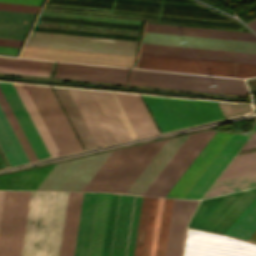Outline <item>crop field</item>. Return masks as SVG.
I'll return each instance as SVG.
<instances>
[{"instance_id": "1", "label": "crop field", "mask_w": 256, "mask_h": 256, "mask_svg": "<svg viewBox=\"0 0 256 256\" xmlns=\"http://www.w3.org/2000/svg\"><path fill=\"white\" fill-rule=\"evenodd\" d=\"M168 2H177V3H186V4H195L199 5L191 0H163ZM47 2L53 3H64V4H74V5H85V6H96V7H106L118 9V10H127V11H136V12H145V13H154V14H178V15H189V16H200V17H210V18H220V19H229V18L217 11H210L208 8L200 5V6H193V5H181V4H169L163 3L158 1H149V0H47ZM46 2V4H47ZM46 4L44 8L46 7ZM44 10V9H43ZM84 10V9H83ZM114 10L113 12L118 13H129V14H139V15H150V16H161V17H172V18H182V19H193V20H204V21H214V22H224V23H239L238 21H217V20H207V19H197V18H187V17H177V16H167V15H154V14H145V13H136V12H127V11H118ZM51 11V10H48ZM94 11V10H93ZM64 12V11H58ZM105 12V11H103ZM68 13H77V12H68ZM116 13V14H118ZM78 14H87V15H97V14H88V13H78ZM126 14V15H129ZM136 15V16H139ZM97 16H106V15H97ZM112 16V15H111ZM107 16V17H111ZM150 16H141V17H150ZM117 18H127V19H137V20H148V19H138V18H128V17H118ZM161 17H150V18H159L162 20H172V21H182V22H191V23H201V24H211V25H220V26H230V27H240L239 25L233 24H223V23H213V22H203V21H193V20H182V19H172V18H161ZM38 20L44 21H54V22H64V23H74V24H84V25H94V26H104V27H114V28H124V29H134V30H141L140 26L134 25H123V24H112V23H101V22H90V21H79V20H68V19H57V18H46V17H39ZM149 21H159V20H149ZM144 21V22H149ZM159 22H169V21H159ZM159 22H152V23H159ZM170 23H179V22H170ZM170 23H162V24H170ZM180 24H189V23H180ZM180 24H172V25H180ZM242 25L241 23H239ZM191 25H199V24H191ZM191 25H183V26H191ZM202 26H210V25H202ZM202 26H193V27H202ZM220 26H212V27H220ZM243 26V25H242ZM212 27H204V28H212ZM230 27H223V28H230ZM244 27V26H243ZM223 28H214V29H223ZM238 29V28H233ZM233 29H224V30H233ZM33 31L38 32H48V33H58V34H69V35H80V36H90V37H101V38H112V39H122V40H133L138 41V37L132 36H122V35H112V34H102V33H92V32H81V31H71V30H61V29H51V28H41V27H34ZM239 31V30H235ZM242 31L250 32L248 29H242Z\"/></svg>"}, {"instance_id": "2", "label": "crop field", "mask_w": 256, "mask_h": 256, "mask_svg": "<svg viewBox=\"0 0 256 256\" xmlns=\"http://www.w3.org/2000/svg\"><path fill=\"white\" fill-rule=\"evenodd\" d=\"M68 90L97 147L137 138L115 93Z\"/></svg>"}, {"instance_id": "3", "label": "crop field", "mask_w": 256, "mask_h": 256, "mask_svg": "<svg viewBox=\"0 0 256 256\" xmlns=\"http://www.w3.org/2000/svg\"><path fill=\"white\" fill-rule=\"evenodd\" d=\"M164 142L113 151L83 190L125 193Z\"/></svg>"}, {"instance_id": "4", "label": "crop field", "mask_w": 256, "mask_h": 256, "mask_svg": "<svg viewBox=\"0 0 256 256\" xmlns=\"http://www.w3.org/2000/svg\"><path fill=\"white\" fill-rule=\"evenodd\" d=\"M143 98L160 132L223 118L213 101Z\"/></svg>"}, {"instance_id": "5", "label": "crop field", "mask_w": 256, "mask_h": 256, "mask_svg": "<svg viewBox=\"0 0 256 256\" xmlns=\"http://www.w3.org/2000/svg\"><path fill=\"white\" fill-rule=\"evenodd\" d=\"M128 84L196 90L225 94H248L243 80L131 69ZM216 87H213L214 85Z\"/></svg>"}, {"instance_id": "6", "label": "crop field", "mask_w": 256, "mask_h": 256, "mask_svg": "<svg viewBox=\"0 0 256 256\" xmlns=\"http://www.w3.org/2000/svg\"><path fill=\"white\" fill-rule=\"evenodd\" d=\"M255 197L256 188H252L204 199L188 227L223 233Z\"/></svg>"}, {"instance_id": "7", "label": "crop field", "mask_w": 256, "mask_h": 256, "mask_svg": "<svg viewBox=\"0 0 256 256\" xmlns=\"http://www.w3.org/2000/svg\"><path fill=\"white\" fill-rule=\"evenodd\" d=\"M137 68L247 78L256 65L140 54Z\"/></svg>"}, {"instance_id": "8", "label": "crop field", "mask_w": 256, "mask_h": 256, "mask_svg": "<svg viewBox=\"0 0 256 256\" xmlns=\"http://www.w3.org/2000/svg\"><path fill=\"white\" fill-rule=\"evenodd\" d=\"M97 193L84 192L74 256H87ZM111 193H98L89 256H101Z\"/></svg>"}, {"instance_id": "9", "label": "crop field", "mask_w": 256, "mask_h": 256, "mask_svg": "<svg viewBox=\"0 0 256 256\" xmlns=\"http://www.w3.org/2000/svg\"><path fill=\"white\" fill-rule=\"evenodd\" d=\"M30 192L6 191L0 223V256H20Z\"/></svg>"}, {"instance_id": "10", "label": "crop field", "mask_w": 256, "mask_h": 256, "mask_svg": "<svg viewBox=\"0 0 256 256\" xmlns=\"http://www.w3.org/2000/svg\"><path fill=\"white\" fill-rule=\"evenodd\" d=\"M214 133L189 135L143 195L165 197Z\"/></svg>"}, {"instance_id": "11", "label": "crop field", "mask_w": 256, "mask_h": 256, "mask_svg": "<svg viewBox=\"0 0 256 256\" xmlns=\"http://www.w3.org/2000/svg\"><path fill=\"white\" fill-rule=\"evenodd\" d=\"M111 152L56 164L37 190H82Z\"/></svg>"}, {"instance_id": "12", "label": "crop field", "mask_w": 256, "mask_h": 256, "mask_svg": "<svg viewBox=\"0 0 256 256\" xmlns=\"http://www.w3.org/2000/svg\"><path fill=\"white\" fill-rule=\"evenodd\" d=\"M183 256H256V244L187 229Z\"/></svg>"}, {"instance_id": "13", "label": "crop field", "mask_w": 256, "mask_h": 256, "mask_svg": "<svg viewBox=\"0 0 256 256\" xmlns=\"http://www.w3.org/2000/svg\"><path fill=\"white\" fill-rule=\"evenodd\" d=\"M136 42L33 32L27 45L133 55Z\"/></svg>"}, {"instance_id": "14", "label": "crop field", "mask_w": 256, "mask_h": 256, "mask_svg": "<svg viewBox=\"0 0 256 256\" xmlns=\"http://www.w3.org/2000/svg\"><path fill=\"white\" fill-rule=\"evenodd\" d=\"M20 57L133 67L135 56L25 46Z\"/></svg>"}, {"instance_id": "15", "label": "crop field", "mask_w": 256, "mask_h": 256, "mask_svg": "<svg viewBox=\"0 0 256 256\" xmlns=\"http://www.w3.org/2000/svg\"><path fill=\"white\" fill-rule=\"evenodd\" d=\"M172 202L152 198L143 256H164Z\"/></svg>"}, {"instance_id": "16", "label": "crop field", "mask_w": 256, "mask_h": 256, "mask_svg": "<svg viewBox=\"0 0 256 256\" xmlns=\"http://www.w3.org/2000/svg\"><path fill=\"white\" fill-rule=\"evenodd\" d=\"M142 42L256 53V42L246 41L145 32Z\"/></svg>"}, {"instance_id": "17", "label": "crop field", "mask_w": 256, "mask_h": 256, "mask_svg": "<svg viewBox=\"0 0 256 256\" xmlns=\"http://www.w3.org/2000/svg\"><path fill=\"white\" fill-rule=\"evenodd\" d=\"M140 53L255 63L256 54L142 43Z\"/></svg>"}, {"instance_id": "18", "label": "crop field", "mask_w": 256, "mask_h": 256, "mask_svg": "<svg viewBox=\"0 0 256 256\" xmlns=\"http://www.w3.org/2000/svg\"><path fill=\"white\" fill-rule=\"evenodd\" d=\"M231 135L216 133L166 197L183 198Z\"/></svg>"}, {"instance_id": "19", "label": "crop field", "mask_w": 256, "mask_h": 256, "mask_svg": "<svg viewBox=\"0 0 256 256\" xmlns=\"http://www.w3.org/2000/svg\"><path fill=\"white\" fill-rule=\"evenodd\" d=\"M0 90L5 97L12 113L14 114L20 128L22 129L29 145L31 146L37 160L49 157V154L26 109L24 108L13 84L0 82Z\"/></svg>"}, {"instance_id": "20", "label": "crop field", "mask_w": 256, "mask_h": 256, "mask_svg": "<svg viewBox=\"0 0 256 256\" xmlns=\"http://www.w3.org/2000/svg\"><path fill=\"white\" fill-rule=\"evenodd\" d=\"M248 137L233 134L184 198L200 199Z\"/></svg>"}, {"instance_id": "21", "label": "crop field", "mask_w": 256, "mask_h": 256, "mask_svg": "<svg viewBox=\"0 0 256 256\" xmlns=\"http://www.w3.org/2000/svg\"><path fill=\"white\" fill-rule=\"evenodd\" d=\"M128 69L59 62L56 76L125 84Z\"/></svg>"}, {"instance_id": "22", "label": "crop field", "mask_w": 256, "mask_h": 256, "mask_svg": "<svg viewBox=\"0 0 256 256\" xmlns=\"http://www.w3.org/2000/svg\"><path fill=\"white\" fill-rule=\"evenodd\" d=\"M187 136L167 139L126 193L142 195Z\"/></svg>"}, {"instance_id": "23", "label": "crop field", "mask_w": 256, "mask_h": 256, "mask_svg": "<svg viewBox=\"0 0 256 256\" xmlns=\"http://www.w3.org/2000/svg\"><path fill=\"white\" fill-rule=\"evenodd\" d=\"M197 202L174 199L165 256H181L185 226Z\"/></svg>"}, {"instance_id": "24", "label": "crop field", "mask_w": 256, "mask_h": 256, "mask_svg": "<svg viewBox=\"0 0 256 256\" xmlns=\"http://www.w3.org/2000/svg\"><path fill=\"white\" fill-rule=\"evenodd\" d=\"M138 138L158 134V131L144 107L139 95L116 93Z\"/></svg>"}, {"instance_id": "25", "label": "crop field", "mask_w": 256, "mask_h": 256, "mask_svg": "<svg viewBox=\"0 0 256 256\" xmlns=\"http://www.w3.org/2000/svg\"><path fill=\"white\" fill-rule=\"evenodd\" d=\"M127 195L112 194L103 256H117Z\"/></svg>"}, {"instance_id": "26", "label": "crop field", "mask_w": 256, "mask_h": 256, "mask_svg": "<svg viewBox=\"0 0 256 256\" xmlns=\"http://www.w3.org/2000/svg\"><path fill=\"white\" fill-rule=\"evenodd\" d=\"M82 195L69 192L59 256H73Z\"/></svg>"}, {"instance_id": "27", "label": "crop field", "mask_w": 256, "mask_h": 256, "mask_svg": "<svg viewBox=\"0 0 256 256\" xmlns=\"http://www.w3.org/2000/svg\"><path fill=\"white\" fill-rule=\"evenodd\" d=\"M141 200L128 195L118 256H133Z\"/></svg>"}, {"instance_id": "28", "label": "crop field", "mask_w": 256, "mask_h": 256, "mask_svg": "<svg viewBox=\"0 0 256 256\" xmlns=\"http://www.w3.org/2000/svg\"><path fill=\"white\" fill-rule=\"evenodd\" d=\"M145 31L256 41V36H254L252 33L170 26V25H160V24H149V23H147Z\"/></svg>"}, {"instance_id": "29", "label": "crop field", "mask_w": 256, "mask_h": 256, "mask_svg": "<svg viewBox=\"0 0 256 256\" xmlns=\"http://www.w3.org/2000/svg\"><path fill=\"white\" fill-rule=\"evenodd\" d=\"M25 108L27 109L37 131L39 132L50 156L53 155H59L60 152L53 140V138L51 137L44 121L42 120L34 102L32 101L25 85H18V84H14Z\"/></svg>"}, {"instance_id": "30", "label": "crop field", "mask_w": 256, "mask_h": 256, "mask_svg": "<svg viewBox=\"0 0 256 256\" xmlns=\"http://www.w3.org/2000/svg\"><path fill=\"white\" fill-rule=\"evenodd\" d=\"M0 146L10 166L28 162L1 108H0Z\"/></svg>"}, {"instance_id": "31", "label": "crop field", "mask_w": 256, "mask_h": 256, "mask_svg": "<svg viewBox=\"0 0 256 256\" xmlns=\"http://www.w3.org/2000/svg\"><path fill=\"white\" fill-rule=\"evenodd\" d=\"M52 62L22 58L1 57L0 65L50 70ZM0 66V72L48 77L50 71Z\"/></svg>"}, {"instance_id": "32", "label": "crop field", "mask_w": 256, "mask_h": 256, "mask_svg": "<svg viewBox=\"0 0 256 256\" xmlns=\"http://www.w3.org/2000/svg\"><path fill=\"white\" fill-rule=\"evenodd\" d=\"M48 173H37L29 170L0 176V189L36 190Z\"/></svg>"}, {"instance_id": "33", "label": "crop field", "mask_w": 256, "mask_h": 256, "mask_svg": "<svg viewBox=\"0 0 256 256\" xmlns=\"http://www.w3.org/2000/svg\"><path fill=\"white\" fill-rule=\"evenodd\" d=\"M256 230V198L224 232L247 240Z\"/></svg>"}, {"instance_id": "34", "label": "crop field", "mask_w": 256, "mask_h": 256, "mask_svg": "<svg viewBox=\"0 0 256 256\" xmlns=\"http://www.w3.org/2000/svg\"><path fill=\"white\" fill-rule=\"evenodd\" d=\"M256 186V173L215 182L205 197L241 190ZM204 197V198H205Z\"/></svg>"}, {"instance_id": "35", "label": "crop field", "mask_w": 256, "mask_h": 256, "mask_svg": "<svg viewBox=\"0 0 256 256\" xmlns=\"http://www.w3.org/2000/svg\"><path fill=\"white\" fill-rule=\"evenodd\" d=\"M256 172V152L236 156L218 180Z\"/></svg>"}, {"instance_id": "36", "label": "crop field", "mask_w": 256, "mask_h": 256, "mask_svg": "<svg viewBox=\"0 0 256 256\" xmlns=\"http://www.w3.org/2000/svg\"><path fill=\"white\" fill-rule=\"evenodd\" d=\"M33 101L35 102L42 118L44 119L52 137L54 138L61 154H64V153H68L69 150L64 142V140L62 139L57 127L55 126L49 112L47 111L42 99L40 98L35 86H29V85H26Z\"/></svg>"}, {"instance_id": "37", "label": "crop field", "mask_w": 256, "mask_h": 256, "mask_svg": "<svg viewBox=\"0 0 256 256\" xmlns=\"http://www.w3.org/2000/svg\"><path fill=\"white\" fill-rule=\"evenodd\" d=\"M0 106H1L5 116L7 118V120L9 121V123H10L18 141L20 142V144H21L29 162L36 161V158H35L32 150H31L30 146L28 145L21 129L19 128V126H18L13 114L11 113V111H10L4 97L2 96L1 92H0Z\"/></svg>"}, {"instance_id": "38", "label": "crop field", "mask_w": 256, "mask_h": 256, "mask_svg": "<svg viewBox=\"0 0 256 256\" xmlns=\"http://www.w3.org/2000/svg\"><path fill=\"white\" fill-rule=\"evenodd\" d=\"M151 198L143 197L134 256H142Z\"/></svg>"}, {"instance_id": "39", "label": "crop field", "mask_w": 256, "mask_h": 256, "mask_svg": "<svg viewBox=\"0 0 256 256\" xmlns=\"http://www.w3.org/2000/svg\"><path fill=\"white\" fill-rule=\"evenodd\" d=\"M22 41L0 39V45L20 47ZM0 46V55L16 56L19 48Z\"/></svg>"}, {"instance_id": "40", "label": "crop field", "mask_w": 256, "mask_h": 256, "mask_svg": "<svg viewBox=\"0 0 256 256\" xmlns=\"http://www.w3.org/2000/svg\"><path fill=\"white\" fill-rule=\"evenodd\" d=\"M39 6L0 2V9L36 13Z\"/></svg>"}, {"instance_id": "41", "label": "crop field", "mask_w": 256, "mask_h": 256, "mask_svg": "<svg viewBox=\"0 0 256 256\" xmlns=\"http://www.w3.org/2000/svg\"><path fill=\"white\" fill-rule=\"evenodd\" d=\"M254 131H256V121H255ZM251 147H256V132L253 133V136L250 137V139L246 142V144L242 147V149L251 148Z\"/></svg>"}, {"instance_id": "42", "label": "crop field", "mask_w": 256, "mask_h": 256, "mask_svg": "<svg viewBox=\"0 0 256 256\" xmlns=\"http://www.w3.org/2000/svg\"><path fill=\"white\" fill-rule=\"evenodd\" d=\"M3 2H14V3H24V4H35L40 5L42 0H0Z\"/></svg>"}, {"instance_id": "43", "label": "crop field", "mask_w": 256, "mask_h": 256, "mask_svg": "<svg viewBox=\"0 0 256 256\" xmlns=\"http://www.w3.org/2000/svg\"><path fill=\"white\" fill-rule=\"evenodd\" d=\"M251 29H253L256 32V19L246 23Z\"/></svg>"}, {"instance_id": "44", "label": "crop field", "mask_w": 256, "mask_h": 256, "mask_svg": "<svg viewBox=\"0 0 256 256\" xmlns=\"http://www.w3.org/2000/svg\"><path fill=\"white\" fill-rule=\"evenodd\" d=\"M4 193H5V191H0V217H1V211H2Z\"/></svg>"}, {"instance_id": "45", "label": "crop field", "mask_w": 256, "mask_h": 256, "mask_svg": "<svg viewBox=\"0 0 256 256\" xmlns=\"http://www.w3.org/2000/svg\"><path fill=\"white\" fill-rule=\"evenodd\" d=\"M248 241L256 243V231L252 234V236L248 239Z\"/></svg>"}, {"instance_id": "46", "label": "crop field", "mask_w": 256, "mask_h": 256, "mask_svg": "<svg viewBox=\"0 0 256 256\" xmlns=\"http://www.w3.org/2000/svg\"><path fill=\"white\" fill-rule=\"evenodd\" d=\"M248 83V82H247ZM253 84H256V83H252V84H248L249 85V87H250V85H253ZM253 87H256V86H253ZM253 87H250V88H253ZM252 91V93L253 94H256V89H253V90H251Z\"/></svg>"}]
</instances>
